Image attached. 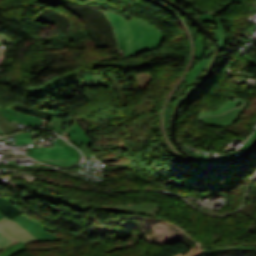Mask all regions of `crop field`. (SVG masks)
<instances>
[{
	"instance_id": "ac0d7876",
	"label": "crop field",
	"mask_w": 256,
	"mask_h": 256,
	"mask_svg": "<svg viewBox=\"0 0 256 256\" xmlns=\"http://www.w3.org/2000/svg\"><path fill=\"white\" fill-rule=\"evenodd\" d=\"M81 80H91L93 82L99 83L104 87L108 88L106 81L99 74L93 71L79 69L67 75L51 80L42 86H38V87L27 86L25 87V89L29 96L49 97L45 94L47 91L54 88L62 87L67 84L75 83Z\"/></svg>"
},
{
	"instance_id": "92a150f3",
	"label": "crop field",
	"mask_w": 256,
	"mask_h": 256,
	"mask_svg": "<svg viewBox=\"0 0 256 256\" xmlns=\"http://www.w3.org/2000/svg\"><path fill=\"white\" fill-rule=\"evenodd\" d=\"M172 1H174L176 3L178 0H172Z\"/></svg>"
},
{
	"instance_id": "f4fd0767",
	"label": "crop field",
	"mask_w": 256,
	"mask_h": 256,
	"mask_svg": "<svg viewBox=\"0 0 256 256\" xmlns=\"http://www.w3.org/2000/svg\"><path fill=\"white\" fill-rule=\"evenodd\" d=\"M245 105L233 109L220 116H203L199 120L210 126H228L232 124L240 116ZM213 121H215V123H213Z\"/></svg>"
},
{
	"instance_id": "214f88e0",
	"label": "crop field",
	"mask_w": 256,
	"mask_h": 256,
	"mask_svg": "<svg viewBox=\"0 0 256 256\" xmlns=\"http://www.w3.org/2000/svg\"><path fill=\"white\" fill-rule=\"evenodd\" d=\"M4 216L2 214H0V219L3 218Z\"/></svg>"
},
{
	"instance_id": "5a996713",
	"label": "crop field",
	"mask_w": 256,
	"mask_h": 256,
	"mask_svg": "<svg viewBox=\"0 0 256 256\" xmlns=\"http://www.w3.org/2000/svg\"><path fill=\"white\" fill-rule=\"evenodd\" d=\"M26 248V243H22V242H14L10 245H8L6 248L2 249L0 251V256H12L13 254L22 251Z\"/></svg>"
},
{
	"instance_id": "dd49c442",
	"label": "crop field",
	"mask_w": 256,
	"mask_h": 256,
	"mask_svg": "<svg viewBox=\"0 0 256 256\" xmlns=\"http://www.w3.org/2000/svg\"><path fill=\"white\" fill-rule=\"evenodd\" d=\"M0 228L13 238L29 242L38 241L22 227L6 217L0 220Z\"/></svg>"
},
{
	"instance_id": "5142ce71",
	"label": "crop field",
	"mask_w": 256,
	"mask_h": 256,
	"mask_svg": "<svg viewBox=\"0 0 256 256\" xmlns=\"http://www.w3.org/2000/svg\"><path fill=\"white\" fill-rule=\"evenodd\" d=\"M52 122H54V123L50 128L56 130L57 132H59L61 134L63 131L61 130V128L59 126L62 125L65 121H63L55 116H52Z\"/></svg>"
},
{
	"instance_id": "dafd665d",
	"label": "crop field",
	"mask_w": 256,
	"mask_h": 256,
	"mask_svg": "<svg viewBox=\"0 0 256 256\" xmlns=\"http://www.w3.org/2000/svg\"><path fill=\"white\" fill-rule=\"evenodd\" d=\"M0 135H3L1 131H0Z\"/></svg>"
},
{
	"instance_id": "bc2a9ffb",
	"label": "crop field",
	"mask_w": 256,
	"mask_h": 256,
	"mask_svg": "<svg viewBox=\"0 0 256 256\" xmlns=\"http://www.w3.org/2000/svg\"><path fill=\"white\" fill-rule=\"evenodd\" d=\"M20 141V143H19ZM32 142L31 138L17 139L16 145Z\"/></svg>"
},
{
	"instance_id": "4a817a6b",
	"label": "crop field",
	"mask_w": 256,
	"mask_h": 256,
	"mask_svg": "<svg viewBox=\"0 0 256 256\" xmlns=\"http://www.w3.org/2000/svg\"><path fill=\"white\" fill-rule=\"evenodd\" d=\"M12 43L7 37L0 34V45Z\"/></svg>"
},
{
	"instance_id": "d1516ede",
	"label": "crop field",
	"mask_w": 256,
	"mask_h": 256,
	"mask_svg": "<svg viewBox=\"0 0 256 256\" xmlns=\"http://www.w3.org/2000/svg\"><path fill=\"white\" fill-rule=\"evenodd\" d=\"M218 23H219V29L216 30H212V32L214 33V35L217 37L219 44L221 46V48L224 47V32H223V26L220 22V20L218 18H216Z\"/></svg>"
},
{
	"instance_id": "d8731c3e",
	"label": "crop field",
	"mask_w": 256,
	"mask_h": 256,
	"mask_svg": "<svg viewBox=\"0 0 256 256\" xmlns=\"http://www.w3.org/2000/svg\"><path fill=\"white\" fill-rule=\"evenodd\" d=\"M243 103H245V102L237 99L234 96L229 95V97H228L227 101L225 102V104L222 107H220V109H222V110L218 109V110L211 111V112H206V110H203L200 113L199 116H202V115H215V114L224 113V112H226V111H228V110H230V109H232L234 107H238V106L242 105Z\"/></svg>"
},
{
	"instance_id": "28ad6ade",
	"label": "crop field",
	"mask_w": 256,
	"mask_h": 256,
	"mask_svg": "<svg viewBox=\"0 0 256 256\" xmlns=\"http://www.w3.org/2000/svg\"><path fill=\"white\" fill-rule=\"evenodd\" d=\"M4 109L7 110V111H9V112H12V113H14V114H16V115H18V116H20V117L27 118V119H31V120H33V121L39 123L40 125H46V124H47V121H45V120H43V119H41V118L29 116V115L23 114V113H21V112L15 111V110H13V109H10V108H8V107H5Z\"/></svg>"
},
{
	"instance_id": "34b2d1b8",
	"label": "crop field",
	"mask_w": 256,
	"mask_h": 256,
	"mask_svg": "<svg viewBox=\"0 0 256 256\" xmlns=\"http://www.w3.org/2000/svg\"><path fill=\"white\" fill-rule=\"evenodd\" d=\"M19 225H21L26 231L32 236L37 238L39 241H51V240H63L46 231V227L39 222L21 214L13 219Z\"/></svg>"
},
{
	"instance_id": "d9b57169",
	"label": "crop field",
	"mask_w": 256,
	"mask_h": 256,
	"mask_svg": "<svg viewBox=\"0 0 256 256\" xmlns=\"http://www.w3.org/2000/svg\"><path fill=\"white\" fill-rule=\"evenodd\" d=\"M205 60H202L199 64H197L193 70L191 71V73L188 75V77L186 78L185 82H190V80L193 78V76L196 74V72L198 71V69L201 67V65L204 63Z\"/></svg>"
},
{
	"instance_id": "cbeb9de0",
	"label": "crop field",
	"mask_w": 256,
	"mask_h": 256,
	"mask_svg": "<svg viewBox=\"0 0 256 256\" xmlns=\"http://www.w3.org/2000/svg\"><path fill=\"white\" fill-rule=\"evenodd\" d=\"M13 241L15 240L11 239L8 235H6L3 231L0 230V250Z\"/></svg>"
},
{
	"instance_id": "e52e79f7",
	"label": "crop field",
	"mask_w": 256,
	"mask_h": 256,
	"mask_svg": "<svg viewBox=\"0 0 256 256\" xmlns=\"http://www.w3.org/2000/svg\"><path fill=\"white\" fill-rule=\"evenodd\" d=\"M67 132L70 135L73 142L77 145V147H79L81 150L84 151L86 157H89V155L87 153L88 151L86 152L83 145L90 144V143H92V141L90 140L89 137H87L84 134V132L82 131V129L80 128L78 123L76 122L74 124V126L70 130H68Z\"/></svg>"
},
{
	"instance_id": "3316defc",
	"label": "crop field",
	"mask_w": 256,
	"mask_h": 256,
	"mask_svg": "<svg viewBox=\"0 0 256 256\" xmlns=\"http://www.w3.org/2000/svg\"><path fill=\"white\" fill-rule=\"evenodd\" d=\"M0 115L4 116L5 118L9 119L10 121L15 120V121H18V122L23 123L25 125H28L30 127H34V126H38L39 125V124H37V123H35L33 121L17 117V116H15V115H13V114H11L9 112H6V111L2 110L1 108H0Z\"/></svg>"
},
{
	"instance_id": "412701ff",
	"label": "crop field",
	"mask_w": 256,
	"mask_h": 256,
	"mask_svg": "<svg viewBox=\"0 0 256 256\" xmlns=\"http://www.w3.org/2000/svg\"><path fill=\"white\" fill-rule=\"evenodd\" d=\"M163 203H146V204H125L116 206H99L98 208L114 209L117 211H129L132 213H143L157 216L161 212V206Z\"/></svg>"
},
{
	"instance_id": "733c2abd",
	"label": "crop field",
	"mask_w": 256,
	"mask_h": 256,
	"mask_svg": "<svg viewBox=\"0 0 256 256\" xmlns=\"http://www.w3.org/2000/svg\"><path fill=\"white\" fill-rule=\"evenodd\" d=\"M204 22L210 21L212 23H215L214 17L211 14H206V15H198Z\"/></svg>"
},
{
	"instance_id": "8a807250",
	"label": "crop field",
	"mask_w": 256,
	"mask_h": 256,
	"mask_svg": "<svg viewBox=\"0 0 256 256\" xmlns=\"http://www.w3.org/2000/svg\"><path fill=\"white\" fill-rule=\"evenodd\" d=\"M105 13L116 31L120 57H135L139 52L157 49L165 40L163 32L154 24L135 17L126 21L109 11Z\"/></svg>"
},
{
	"instance_id": "22f410ed",
	"label": "crop field",
	"mask_w": 256,
	"mask_h": 256,
	"mask_svg": "<svg viewBox=\"0 0 256 256\" xmlns=\"http://www.w3.org/2000/svg\"><path fill=\"white\" fill-rule=\"evenodd\" d=\"M205 45L202 43V41L198 38L195 41V58L201 59L203 53H204Z\"/></svg>"
}]
</instances>
